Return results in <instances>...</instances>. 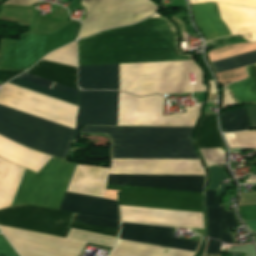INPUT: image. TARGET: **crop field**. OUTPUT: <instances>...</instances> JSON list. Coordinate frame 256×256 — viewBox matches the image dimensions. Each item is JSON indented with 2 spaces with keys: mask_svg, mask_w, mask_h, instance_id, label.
<instances>
[{
  "mask_svg": "<svg viewBox=\"0 0 256 256\" xmlns=\"http://www.w3.org/2000/svg\"><path fill=\"white\" fill-rule=\"evenodd\" d=\"M77 44L78 66L192 59L179 53L175 29L164 18L111 29Z\"/></svg>",
  "mask_w": 256,
  "mask_h": 256,
  "instance_id": "8a807250",
  "label": "crop field"
},
{
  "mask_svg": "<svg viewBox=\"0 0 256 256\" xmlns=\"http://www.w3.org/2000/svg\"><path fill=\"white\" fill-rule=\"evenodd\" d=\"M117 91H82L73 142L84 125H115ZM163 97H134L118 92L116 125L193 126L197 107L185 113L162 116Z\"/></svg>",
  "mask_w": 256,
  "mask_h": 256,
  "instance_id": "ac0d7876",
  "label": "crop field"
},
{
  "mask_svg": "<svg viewBox=\"0 0 256 256\" xmlns=\"http://www.w3.org/2000/svg\"><path fill=\"white\" fill-rule=\"evenodd\" d=\"M193 129L85 126L81 133H105L112 140V158L199 159Z\"/></svg>",
  "mask_w": 256,
  "mask_h": 256,
  "instance_id": "34b2d1b8",
  "label": "crop field"
},
{
  "mask_svg": "<svg viewBox=\"0 0 256 256\" xmlns=\"http://www.w3.org/2000/svg\"><path fill=\"white\" fill-rule=\"evenodd\" d=\"M76 164L52 158L38 173L0 158V208L31 204L57 209Z\"/></svg>",
  "mask_w": 256,
  "mask_h": 256,
  "instance_id": "412701ff",
  "label": "crop field"
},
{
  "mask_svg": "<svg viewBox=\"0 0 256 256\" xmlns=\"http://www.w3.org/2000/svg\"><path fill=\"white\" fill-rule=\"evenodd\" d=\"M107 184L202 192L204 176L109 175ZM119 193L200 201L201 193L112 186ZM119 194V204L200 212V202Z\"/></svg>",
  "mask_w": 256,
  "mask_h": 256,
  "instance_id": "f4fd0767",
  "label": "crop field"
},
{
  "mask_svg": "<svg viewBox=\"0 0 256 256\" xmlns=\"http://www.w3.org/2000/svg\"><path fill=\"white\" fill-rule=\"evenodd\" d=\"M191 72L199 83L192 92L205 90L201 69L193 60L119 64V90L135 95L190 92L185 73Z\"/></svg>",
  "mask_w": 256,
  "mask_h": 256,
  "instance_id": "dd49c442",
  "label": "crop field"
},
{
  "mask_svg": "<svg viewBox=\"0 0 256 256\" xmlns=\"http://www.w3.org/2000/svg\"><path fill=\"white\" fill-rule=\"evenodd\" d=\"M73 129L0 105V135L42 153L65 159Z\"/></svg>",
  "mask_w": 256,
  "mask_h": 256,
  "instance_id": "e52e79f7",
  "label": "crop field"
},
{
  "mask_svg": "<svg viewBox=\"0 0 256 256\" xmlns=\"http://www.w3.org/2000/svg\"><path fill=\"white\" fill-rule=\"evenodd\" d=\"M75 216V213L24 205L0 210V225L64 238L70 228L118 236L117 230L73 221Z\"/></svg>",
  "mask_w": 256,
  "mask_h": 256,
  "instance_id": "d8731c3e",
  "label": "crop field"
},
{
  "mask_svg": "<svg viewBox=\"0 0 256 256\" xmlns=\"http://www.w3.org/2000/svg\"><path fill=\"white\" fill-rule=\"evenodd\" d=\"M86 17L78 38L104 29L135 23L151 14L156 6L149 0H82Z\"/></svg>",
  "mask_w": 256,
  "mask_h": 256,
  "instance_id": "5a996713",
  "label": "crop field"
},
{
  "mask_svg": "<svg viewBox=\"0 0 256 256\" xmlns=\"http://www.w3.org/2000/svg\"><path fill=\"white\" fill-rule=\"evenodd\" d=\"M222 22L232 35L251 34L256 42V9L217 3ZM217 5L214 2L191 5L195 23L207 38L230 36L228 28L221 22Z\"/></svg>",
  "mask_w": 256,
  "mask_h": 256,
  "instance_id": "3316defc",
  "label": "crop field"
},
{
  "mask_svg": "<svg viewBox=\"0 0 256 256\" xmlns=\"http://www.w3.org/2000/svg\"><path fill=\"white\" fill-rule=\"evenodd\" d=\"M79 28L80 23L71 20L66 26L51 34H27L16 43L6 44L1 68L31 67L44 55L74 41Z\"/></svg>",
  "mask_w": 256,
  "mask_h": 256,
  "instance_id": "28ad6ade",
  "label": "crop field"
},
{
  "mask_svg": "<svg viewBox=\"0 0 256 256\" xmlns=\"http://www.w3.org/2000/svg\"><path fill=\"white\" fill-rule=\"evenodd\" d=\"M0 104L73 128L77 106L11 85L0 89Z\"/></svg>",
  "mask_w": 256,
  "mask_h": 256,
  "instance_id": "d1516ede",
  "label": "crop field"
},
{
  "mask_svg": "<svg viewBox=\"0 0 256 256\" xmlns=\"http://www.w3.org/2000/svg\"><path fill=\"white\" fill-rule=\"evenodd\" d=\"M21 256H78L84 242L0 226Z\"/></svg>",
  "mask_w": 256,
  "mask_h": 256,
  "instance_id": "22f410ed",
  "label": "crop field"
},
{
  "mask_svg": "<svg viewBox=\"0 0 256 256\" xmlns=\"http://www.w3.org/2000/svg\"><path fill=\"white\" fill-rule=\"evenodd\" d=\"M109 174L204 175L199 160L110 159Z\"/></svg>",
  "mask_w": 256,
  "mask_h": 256,
  "instance_id": "cbeb9de0",
  "label": "crop field"
},
{
  "mask_svg": "<svg viewBox=\"0 0 256 256\" xmlns=\"http://www.w3.org/2000/svg\"><path fill=\"white\" fill-rule=\"evenodd\" d=\"M121 221L202 229L201 213L119 205Z\"/></svg>",
  "mask_w": 256,
  "mask_h": 256,
  "instance_id": "5142ce71",
  "label": "crop field"
},
{
  "mask_svg": "<svg viewBox=\"0 0 256 256\" xmlns=\"http://www.w3.org/2000/svg\"><path fill=\"white\" fill-rule=\"evenodd\" d=\"M172 230L167 227L121 223L119 239L194 252L198 242L172 238Z\"/></svg>",
  "mask_w": 256,
  "mask_h": 256,
  "instance_id": "d9b57169",
  "label": "crop field"
},
{
  "mask_svg": "<svg viewBox=\"0 0 256 256\" xmlns=\"http://www.w3.org/2000/svg\"><path fill=\"white\" fill-rule=\"evenodd\" d=\"M58 209L119 220L115 200L66 192Z\"/></svg>",
  "mask_w": 256,
  "mask_h": 256,
  "instance_id": "733c2abd",
  "label": "crop field"
},
{
  "mask_svg": "<svg viewBox=\"0 0 256 256\" xmlns=\"http://www.w3.org/2000/svg\"><path fill=\"white\" fill-rule=\"evenodd\" d=\"M82 89L118 90V64L78 67Z\"/></svg>",
  "mask_w": 256,
  "mask_h": 256,
  "instance_id": "4a817a6b",
  "label": "crop field"
},
{
  "mask_svg": "<svg viewBox=\"0 0 256 256\" xmlns=\"http://www.w3.org/2000/svg\"><path fill=\"white\" fill-rule=\"evenodd\" d=\"M108 169L77 166L66 191L102 197Z\"/></svg>",
  "mask_w": 256,
  "mask_h": 256,
  "instance_id": "bc2a9ffb",
  "label": "crop field"
},
{
  "mask_svg": "<svg viewBox=\"0 0 256 256\" xmlns=\"http://www.w3.org/2000/svg\"><path fill=\"white\" fill-rule=\"evenodd\" d=\"M0 157L38 172L51 156L27 149L0 136Z\"/></svg>",
  "mask_w": 256,
  "mask_h": 256,
  "instance_id": "214f88e0",
  "label": "crop field"
},
{
  "mask_svg": "<svg viewBox=\"0 0 256 256\" xmlns=\"http://www.w3.org/2000/svg\"><path fill=\"white\" fill-rule=\"evenodd\" d=\"M26 73L78 89L76 86V68L74 67L41 60Z\"/></svg>",
  "mask_w": 256,
  "mask_h": 256,
  "instance_id": "92a150f3",
  "label": "crop field"
},
{
  "mask_svg": "<svg viewBox=\"0 0 256 256\" xmlns=\"http://www.w3.org/2000/svg\"><path fill=\"white\" fill-rule=\"evenodd\" d=\"M198 148L225 147L217 128L216 114H204L196 136Z\"/></svg>",
  "mask_w": 256,
  "mask_h": 256,
  "instance_id": "dafd665d",
  "label": "crop field"
},
{
  "mask_svg": "<svg viewBox=\"0 0 256 256\" xmlns=\"http://www.w3.org/2000/svg\"><path fill=\"white\" fill-rule=\"evenodd\" d=\"M247 79L230 84L231 90L238 104L256 103V65L246 68Z\"/></svg>",
  "mask_w": 256,
  "mask_h": 256,
  "instance_id": "00972430",
  "label": "crop field"
},
{
  "mask_svg": "<svg viewBox=\"0 0 256 256\" xmlns=\"http://www.w3.org/2000/svg\"><path fill=\"white\" fill-rule=\"evenodd\" d=\"M234 118L231 120L230 118ZM220 124L223 132L249 129L248 118L244 108L225 111L220 114Z\"/></svg>",
  "mask_w": 256,
  "mask_h": 256,
  "instance_id": "a9b5d70f",
  "label": "crop field"
},
{
  "mask_svg": "<svg viewBox=\"0 0 256 256\" xmlns=\"http://www.w3.org/2000/svg\"><path fill=\"white\" fill-rule=\"evenodd\" d=\"M215 72H222L256 63V51L216 60L211 62Z\"/></svg>",
  "mask_w": 256,
  "mask_h": 256,
  "instance_id": "4177f3b9",
  "label": "crop field"
},
{
  "mask_svg": "<svg viewBox=\"0 0 256 256\" xmlns=\"http://www.w3.org/2000/svg\"><path fill=\"white\" fill-rule=\"evenodd\" d=\"M8 83H11V84H14V85H17V86H20V87H23V88H26V89H29V90H32V91H35V92H38V93H41V94H44V95H47V96H50V97H53V98H56V99H59V100H62V101H65V102H68V103L78 106L79 99L69 96V95H66V94H62V93H59V92L29 83V82H26L23 80H20L17 78L9 81Z\"/></svg>",
  "mask_w": 256,
  "mask_h": 256,
  "instance_id": "730fd06b",
  "label": "crop field"
},
{
  "mask_svg": "<svg viewBox=\"0 0 256 256\" xmlns=\"http://www.w3.org/2000/svg\"><path fill=\"white\" fill-rule=\"evenodd\" d=\"M229 148H256V130L224 134Z\"/></svg>",
  "mask_w": 256,
  "mask_h": 256,
  "instance_id": "eef30255",
  "label": "crop field"
},
{
  "mask_svg": "<svg viewBox=\"0 0 256 256\" xmlns=\"http://www.w3.org/2000/svg\"><path fill=\"white\" fill-rule=\"evenodd\" d=\"M116 246L117 247L140 250V251L164 254V255H169V256H192L193 255V253H191V252L173 250V249H168V248L144 245V244L121 241V240L118 241Z\"/></svg>",
  "mask_w": 256,
  "mask_h": 256,
  "instance_id": "ae1a2a85",
  "label": "crop field"
},
{
  "mask_svg": "<svg viewBox=\"0 0 256 256\" xmlns=\"http://www.w3.org/2000/svg\"><path fill=\"white\" fill-rule=\"evenodd\" d=\"M67 238L113 247L117 238L71 229Z\"/></svg>",
  "mask_w": 256,
  "mask_h": 256,
  "instance_id": "d3111659",
  "label": "crop field"
},
{
  "mask_svg": "<svg viewBox=\"0 0 256 256\" xmlns=\"http://www.w3.org/2000/svg\"><path fill=\"white\" fill-rule=\"evenodd\" d=\"M44 60L76 67V44L72 43L46 56Z\"/></svg>",
  "mask_w": 256,
  "mask_h": 256,
  "instance_id": "750c4746",
  "label": "crop field"
},
{
  "mask_svg": "<svg viewBox=\"0 0 256 256\" xmlns=\"http://www.w3.org/2000/svg\"><path fill=\"white\" fill-rule=\"evenodd\" d=\"M209 237L219 240V207L207 208Z\"/></svg>",
  "mask_w": 256,
  "mask_h": 256,
  "instance_id": "bd1437ed",
  "label": "crop field"
},
{
  "mask_svg": "<svg viewBox=\"0 0 256 256\" xmlns=\"http://www.w3.org/2000/svg\"><path fill=\"white\" fill-rule=\"evenodd\" d=\"M76 221L119 230V221L77 214Z\"/></svg>",
  "mask_w": 256,
  "mask_h": 256,
  "instance_id": "1d83c4d3",
  "label": "crop field"
},
{
  "mask_svg": "<svg viewBox=\"0 0 256 256\" xmlns=\"http://www.w3.org/2000/svg\"><path fill=\"white\" fill-rule=\"evenodd\" d=\"M238 183H256V175L244 176V181H238ZM239 212L243 220L256 219V205L239 206Z\"/></svg>",
  "mask_w": 256,
  "mask_h": 256,
  "instance_id": "120bbe31",
  "label": "crop field"
},
{
  "mask_svg": "<svg viewBox=\"0 0 256 256\" xmlns=\"http://www.w3.org/2000/svg\"><path fill=\"white\" fill-rule=\"evenodd\" d=\"M207 165L225 163L224 151L220 149H200Z\"/></svg>",
  "mask_w": 256,
  "mask_h": 256,
  "instance_id": "d32e631a",
  "label": "crop field"
},
{
  "mask_svg": "<svg viewBox=\"0 0 256 256\" xmlns=\"http://www.w3.org/2000/svg\"><path fill=\"white\" fill-rule=\"evenodd\" d=\"M236 223L232 212H224V206L220 207V230L235 228Z\"/></svg>",
  "mask_w": 256,
  "mask_h": 256,
  "instance_id": "5866460e",
  "label": "crop field"
},
{
  "mask_svg": "<svg viewBox=\"0 0 256 256\" xmlns=\"http://www.w3.org/2000/svg\"><path fill=\"white\" fill-rule=\"evenodd\" d=\"M210 1L242 5V6H249V7L256 8V0H190V3L196 4V3H204V2H210Z\"/></svg>",
  "mask_w": 256,
  "mask_h": 256,
  "instance_id": "028f5c9d",
  "label": "crop field"
},
{
  "mask_svg": "<svg viewBox=\"0 0 256 256\" xmlns=\"http://www.w3.org/2000/svg\"><path fill=\"white\" fill-rule=\"evenodd\" d=\"M109 256H162V255L114 247L113 251Z\"/></svg>",
  "mask_w": 256,
  "mask_h": 256,
  "instance_id": "e1f06a70",
  "label": "crop field"
},
{
  "mask_svg": "<svg viewBox=\"0 0 256 256\" xmlns=\"http://www.w3.org/2000/svg\"><path fill=\"white\" fill-rule=\"evenodd\" d=\"M17 78H20V79H23V80L47 87V88H51V89L55 85L54 82H50V81L26 74V73H23V74L17 76Z\"/></svg>",
  "mask_w": 256,
  "mask_h": 256,
  "instance_id": "0bd39190",
  "label": "crop field"
},
{
  "mask_svg": "<svg viewBox=\"0 0 256 256\" xmlns=\"http://www.w3.org/2000/svg\"><path fill=\"white\" fill-rule=\"evenodd\" d=\"M0 256H18L2 235H0Z\"/></svg>",
  "mask_w": 256,
  "mask_h": 256,
  "instance_id": "b80d0937",
  "label": "crop field"
},
{
  "mask_svg": "<svg viewBox=\"0 0 256 256\" xmlns=\"http://www.w3.org/2000/svg\"><path fill=\"white\" fill-rule=\"evenodd\" d=\"M244 108L246 109L250 120V127L256 128V104L245 106Z\"/></svg>",
  "mask_w": 256,
  "mask_h": 256,
  "instance_id": "c035e120",
  "label": "crop field"
},
{
  "mask_svg": "<svg viewBox=\"0 0 256 256\" xmlns=\"http://www.w3.org/2000/svg\"><path fill=\"white\" fill-rule=\"evenodd\" d=\"M220 246L221 242L209 239L205 254L218 255Z\"/></svg>",
  "mask_w": 256,
  "mask_h": 256,
  "instance_id": "c21b1889",
  "label": "crop field"
},
{
  "mask_svg": "<svg viewBox=\"0 0 256 256\" xmlns=\"http://www.w3.org/2000/svg\"><path fill=\"white\" fill-rule=\"evenodd\" d=\"M53 89L57 90V91H60V92H63V93H66V94H69V95H72V96H75V97H78V98H79V95H80L79 91H76L74 89L68 88L66 86H63V85H60V84H57V83L53 87Z\"/></svg>",
  "mask_w": 256,
  "mask_h": 256,
  "instance_id": "03da06ac",
  "label": "crop field"
},
{
  "mask_svg": "<svg viewBox=\"0 0 256 256\" xmlns=\"http://www.w3.org/2000/svg\"><path fill=\"white\" fill-rule=\"evenodd\" d=\"M23 71H25V70H19V71L0 70V81H6V80L10 79L11 77H13Z\"/></svg>",
  "mask_w": 256,
  "mask_h": 256,
  "instance_id": "b54c1fbb",
  "label": "crop field"
},
{
  "mask_svg": "<svg viewBox=\"0 0 256 256\" xmlns=\"http://www.w3.org/2000/svg\"><path fill=\"white\" fill-rule=\"evenodd\" d=\"M215 193H216V191L207 190V192H206V204H205V206L216 205V202H215Z\"/></svg>",
  "mask_w": 256,
  "mask_h": 256,
  "instance_id": "5d738f31",
  "label": "crop field"
},
{
  "mask_svg": "<svg viewBox=\"0 0 256 256\" xmlns=\"http://www.w3.org/2000/svg\"><path fill=\"white\" fill-rule=\"evenodd\" d=\"M235 104L234 100L232 99L229 91L226 89L224 92V100H223V107Z\"/></svg>",
  "mask_w": 256,
  "mask_h": 256,
  "instance_id": "d23c7cc5",
  "label": "crop field"
},
{
  "mask_svg": "<svg viewBox=\"0 0 256 256\" xmlns=\"http://www.w3.org/2000/svg\"><path fill=\"white\" fill-rule=\"evenodd\" d=\"M220 240L226 243L233 244L230 232H226V230L220 231Z\"/></svg>",
  "mask_w": 256,
  "mask_h": 256,
  "instance_id": "425ffa30",
  "label": "crop field"
},
{
  "mask_svg": "<svg viewBox=\"0 0 256 256\" xmlns=\"http://www.w3.org/2000/svg\"><path fill=\"white\" fill-rule=\"evenodd\" d=\"M37 0H8L5 4H23V5H30Z\"/></svg>",
  "mask_w": 256,
  "mask_h": 256,
  "instance_id": "25e5ab78",
  "label": "crop field"
},
{
  "mask_svg": "<svg viewBox=\"0 0 256 256\" xmlns=\"http://www.w3.org/2000/svg\"><path fill=\"white\" fill-rule=\"evenodd\" d=\"M246 223L251 228L252 231H256V221H254V222H246Z\"/></svg>",
  "mask_w": 256,
  "mask_h": 256,
  "instance_id": "73cf0c24",
  "label": "crop field"
},
{
  "mask_svg": "<svg viewBox=\"0 0 256 256\" xmlns=\"http://www.w3.org/2000/svg\"><path fill=\"white\" fill-rule=\"evenodd\" d=\"M210 83H211V88H210V92H209V94L216 93L215 85L213 84V82H212V81H210Z\"/></svg>",
  "mask_w": 256,
  "mask_h": 256,
  "instance_id": "89e229c0",
  "label": "crop field"
},
{
  "mask_svg": "<svg viewBox=\"0 0 256 256\" xmlns=\"http://www.w3.org/2000/svg\"><path fill=\"white\" fill-rule=\"evenodd\" d=\"M201 105H202V104L198 105L199 109H200ZM199 116H200V113H199Z\"/></svg>",
  "mask_w": 256,
  "mask_h": 256,
  "instance_id": "1f2cbd36",
  "label": "crop field"
},
{
  "mask_svg": "<svg viewBox=\"0 0 256 256\" xmlns=\"http://www.w3.org/2000/svg\"><path fill=\"white\" fill-rule=\"evenodd\" d=\"M255 239H256V237H255Z\"/></svg>",
  "mask_w": 256,
  "mask_h": 256,
  "instance_id": "dbb93151",
  "label": "crop field"
}]
</instances>
